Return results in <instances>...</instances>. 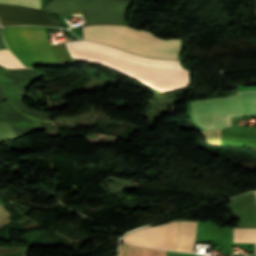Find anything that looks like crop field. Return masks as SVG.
I'll return each mask as SVG.
<instances>
[{
  "label": "crop field",
  "instance_id": "obj_3",
  "mask_svg": "<svg viewBox=\"0 0 256 256\" xmlns=\"http://www.w3.org/2000/svg\"><path fill=\"white\" fill-rule=\"evenodd\" d=\"M1 31L9 50L24 66L58 62L46 38L44 27H6L1 28ZM53 48L60 61L71 60L64 44Z\"/></svg>",
  "mask_w": 256,
  "mask_h": 256
},
{
  "label": "crop field",
  "instance_id": "obj_2",
  "mask_svg": "<svg viewBox=\"0 0 256 256\" xmlns=\"http://www.w3.org/2000/svg\"><path fill=\"white\" fill-rule=\"evenodd\" d=\"M82 32L83 38L150 57L177 59L181 46L178 39L163 40L150 32L130 26H84Z\"/></svg>",
  "mask_w": 256,
  "mask_h": 256
},
{
  "label": "crop field",
  "instance_id": "obj_7",
  "mask_svg": "<svg viewBox=\"0 0 256 256\" xmlns=\"http://www.w3.org/2000/svg\"><path fill=\"white\" fill-rule=\"evenodd\" d=\"M177 222L138 230L127 235L123 241L173 250Z\"/></svg>",
  "mask_w": 256,
  "mask_h": 256
},
{
  "label": "crop field",
  "instance_id": "obj_12",
  "mask_svg": "<svg viewBox=\"0 0 256 256\" xmlns=\"http://www.w3.org/2000/svg\"><path fill=\"white\" fill-rule=\"evenodd\" d=\"M233 242L255 243L256 254V229H233Z\"/></svg>",
  "mask_w": 256,
  "mask_h": 256
},
{
  "label": "crop field",
  "instance_id": "obj_18",
  "mask_svg": "<svg viewBox=\"0 0 256 256\" xmlns=\"http://www.w3.org/2000/svg\"><path fill=\"white\" fill-rule=\"evenodd\" d=\"M254 151H256V149H253Z\"/></svg>",
  "mask_w": 256,
  "mask_h": 256
},
{
  "label": "crop field",
  "instance_id": "obj_11",
  "mask_svg": "<svg viewBox=\"0 0 256 256\" xmlns=\"http://www.w3.org/2000/svg\"><path fill=\"white\" fill-rule=\"evenodd\" d=\"M10 102L17 110H19L21 113H23L24 115H26L32 119L39 120V121H49V119H48L49 113L48 112H42V111H37V110L28 108L24 104L23 99L12 100Z\"/></svg>",
  "mask_w": 256,
  "mask_h": 256
},
{
  "label": "crop field",
  "instance_id": "obj_13",
  "mask_svg": "<svg viewBox=\"0 0 256 256\" xmlns=\"http://www.w3.org/2000/svg\"><path fill=\"white\" fill-rule=\"evenodd\" d=\"M0 66H3L5 68H21L23 67L16 59L15 57L5 50H0Z\"/></svg>",
  "mask_w": 256,
  "mask_h": 256
},
{
  "label": "crop field",
  "instance_id": "obj_6",
  "mask_svg": "<svg viewBox=\"0 0 256 256\" xmlns=\"http://www.w3.org/2000/svg\"><path fill=\"white\" fill-rule=\"evenodd\" d=\"M1 4H15L40 9V0H0ZM18 6L0 5V24L7 25H46L56 26V17L36 10Z\"/></svg>",
  "mask_w": 256,
  "mask_h": 256
},
{
  "label": "crop field",
  "instance_id": "obj_14",
  "mask_svg": "<svg viewBox=\"0 0 256 256\" xmlns=\"http://www.w3.org/2000/svg\"><path fill=\"white\" fill-rule=\"evenodd\" d=\"M12 130L9 124L0 123V143L12 138H16V135Z\"/></svg>",
  "mask_w": 256,
  "mask_h": 256
},
{
  "label": "crop field",
  "instance_id": "obj_16",
  "mask_svg": "<svg viewBox=\"0 0 256 256\" xmlns=\"http://www.w3.org/2000/svg\"><path fill=\"white\" fill-rule=\"evenodd\" d=\"M4 48H6V46H5L3 40H2V38L0 36V49H4Z\"/></svg>",
  "mask_w": 256,
  "mask_h": 256
},
{
  "label": "crop field",
  "instance_id": "obj_1",
  "mask_svg": "<svg viewBox=\"0 0 256 256\" xmlns=\"http://www.w3.org/2000/svg\"><path fill=\"white\" fill-rule=\"evenodd\" d=\"M66 45L101 53L113 58H117L126 61L131 64L152 67V68H164V69H180L184 70L179 61H167L158 59H149L145 57H137L130 53L120 51L114 48H110L101 44L78 40L65 42ZM67 47V50L71 57L86 59L98 63L108 65L114 69H117L123 73H126L139 81L149 85L150 87L163 92L176 88H180L188 85V71L179 70H163L144 68L135 65L125 63L120 60H116L101 54Z\"/></svg>",
  "mask_w": 256,
  "mask_h": 256
},
{
  "label": "crop field",
  "instance_id": "obj_8",
  "mask_svg": "<svg viewBox=\"0 0 256 256\" xmlns=\"http://www.w3.org/2000/svg\"><path fill=\"white\" fill-rule=\"evenodd\" d=\"M2 76L15 82L0 83L2 92L6 99L24 97L29 85L36 80V78L27 69L20 71L4 70Z\"/></svg>",
  "mask_w": 256,
  "mask_h": 256
},
{
  "label": "crop field",
  "instance_id": "obj_10",
  "mask_svg": "<svg viewBox=\"0 0 256 256\" xmlns=\"http://www.w3.org/2000/svg\"><path fill=\"white\" fill-rule=\"evenodd\" d=\"M165 251L122 244L120 256H164Z\"/></svg>",
  "mask_w": 256,
  "mask_h": 256
},
{
  "label": "crop field",
  "instance_id": "obj_15",
  "mask_svg": "<svg viewBox=\"0 0 256 256\" xmlns=\"http://www.w3.org/2000/svg\"><path fill=\"white\" fill-rule=\"evenodd\" d=\"M29 248L21 247V248H13V247H2L0 248V254H10L16 252L27 251Z\"/></svg>",
  "mask_w": 256,
  "mask_h": 256
},
{
  "label": "crop field",
  "instance_id": "obj_9",
  "mask_svg": "<svg viewBox=\"0 0 256 256\" xmlns=\"http://www.w3.org/2000/svg\"><path fill=\"white\" fill-rule=\"evenodd\" d=\"M22 116L20 114H18L9 104L0 103V119L40 126V123H38L39 121L38 122H33L34 120L29 121L30 119L27 120L28 118L25 119L26 117L23 118ZM10 123H11L12 127L31 126V125H25V124L13 123V122H10Z\"/></svg>",
  "mask_w": 256,
  "mask_h": 256
},
{
  "label": "crop field",
  "instance_id": "obj_17",
  "mask_svg": "<svg viewBox=\"0 0 256 256\" xmlns=\"http://www.w3.org/2000/svg\"><path fill=\"white\" fill-rule=\"evenodd\" d=\"M1 99H4V98H3L2 92H1V90H0V100H1Z\"/></svg>",
  "mask_w": 256,
  "mask_h": 256
},
{
  "label": "crop field",
  "instance_id": "obj_5",
  "mask_svg": "<svg viewBox=\"0 0 256 256\" xmlns=\"http://www.w3.org/2000/svg\"><path fill=\"white\" fill-rule=\"evenodd\" d=\"M132 0H48L42 9L57 15L82 12L86 25L127 26L126 12Z\"/></svg>",
  "mask_w": 256,
  "mask_h": 256
},
{
  "label": "crop field",
  "instance_id": "obj_4",
  "mask_svg": "<svg viewBox=\"0 0 256 256\" xmlns=\"http://www.w3.org/2000/svg\"><path fill=\"white\" fill-rule=\"evenodd\" d=\"M193 119L203 130L231 126L230 116L256 114V92L191 102Z\"/></svg>",
  "mask_w": 256,
  "mask_h": 256
}]
</instances>
